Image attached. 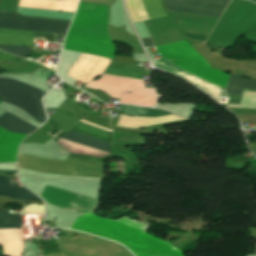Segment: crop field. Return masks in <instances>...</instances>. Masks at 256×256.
Here are the masks:
<instances>
[{
	"label": "crop field",
	"mask_w": 256,
	"mask_h": 256,
	"mask_svg": "<svg viewBox=\"0 0 256 256\" xmlns=\"http://www.w3.org/2000/svg\"><path fill=\"white\" fill-rule=\"evenodd\" d=\"M109 7L80 3L63 49L112 58L115 47L107 32ZM81 54L66 74L83 83L100 75L111 60Z\"/></svg>",
	"instance_id": "8a807250"
},
{
	"label": "crop field",
	"mask_w": 256,
	"mask_h": 256,
	"mask_svg": "<svg viewBox=\"0 0 256 256\" xmlns=\"http://www.w3.org/2000/svg\"><path fill=\"white\" fill-rule=\"evenodd\" d=\"M145 225L123 219H101L90 213L78 217L70 229L118 241L136 256H183L171 244L143 232Z\"/></svg>",
	"instance_id": "ac0d7876"
},
{
	"label": "crop field",
	"mask_w": 256,
	"mask_h": 256,
	"mask_svg": "<svg viewBox=\"0 0 256 256\" xmlns=\"http://www.w3.org/2000/svg\"><path fill=\"white\" fill-rule=\"evenodd\" d=\"M103 75L142 79L140 71L116 67H108ZM102 76L86 84L107 93L112 98H120V103L143 105L152 107L156 104L158 96L154 88H144L143 80ZM131 91L133 93H126Z\"/></svg>",
	"instance_id": "34b2d1b8"
},
{
	"label": "crop field",
	"mask_w": 256,
	"mask_h": 256,
	"mask_svg": "<svg viewBox=\"0 0 256 256\" xmlns=\"http://www.w3.org/2000/svg\"><path fill=\"white\" fill-rule=\"evenodd\" d=\"M71 21L21 16L0 12V28L65 34ZM0 29V44L32 46L33 35L54 37L55 34Z\"/></svg>",
	"instance_id": "412701ff"
},
{
	"label": "crop field",
	"mask_w": 256,
	"mask_h": 256,
	"mask_svg": "<svg viewBox=\"0 0 256 256\" xmlns=\"http://www.w3.org/2000/svg\"><path fill=\"white\" fill-rule=\"evenodd\" d=\"M157 49L168 61L225 88L229 74L211 68L208 62L186 40L158 46Z\"/></svg>",
	"instance_id": "f4fd0767"
},
{
	"label": "crop field",
	"mask_w": 256,
	"mask_h": 256,
	"mask_svg": "<svg viewBox=\"0 0 256 256\" xmlns=\"http://www.w3.org/2000/svg\"><path fill=\"white\" fill-rule=\"evenodd\" d=\"M46 92L25 83L0 78V98L3 102L20 107L41 124L46 120L41 98Z\"/></svg>",
	"instance_id": "dd49c442"
},
{
	"label": "crop field",
	"mask_w": 256,
	"mask_h": 256,
	"mask_svg": "<svg viewBox=\"0 0 256 256\" xmlns=\"http://www.w3.org/2000/svg\"><path fill=\"white\" fill-rule=\"evenodd\" d=\"M120 113H125L133 116H148V117H158L163 115H169V113L162 110H155L143 107H133L127 105H121V110H112ZM184 120L176 115H169L158 118H147V117H130L120 115V119L117 123V126L130 127V128H141L151 125H156L160 123Z\"/></svg>",
	"instance_id": "e52e79f7"
},
{
	"label": "crop field",
	"mask_w": 256,
	"mask_h": 256,
	"mask_svg": "<svg viewBox=\"0 0 256 256\" xmlns=\"http://www.w3.org/2000/svg\"><path fill=\"white\" fill-rule=\"evenodd\" d=\"M167 11L219 18L230 0H164Z\"/></svg>",
	"instance_id": "d8731c3e"
},
{
	"label": "crop field",
	"mask_w": 256,
	"mask_h": 256,
	"mask_svg": "<svg viewBox=\"0 0 256 256\" xmlns=\"http://www.w3.org/2000/svg\"><path fill=\"white\" fill-rule=\"evenodd\" d=\"M81 121H79L71 130H74V131H77V132H80V133H83V134H86V135H89V136H92V137H95V138H98V139H101V140L111 143V136H112L111 130L106 129L108 131H111V132H108L106 130H103L105 128L100 129L102 127L97 128L99 126L95 127L96 125L92 126L94 124L89 125L91 123L86 124L88 122L84 123L85 121L84 122H81ZM71 130L66 135H64L62 137V139H66L69 141H73L76 143L84 144L87 146H91L94 148H98L101 150L111 152V144L110 143H107V142L74 132Z\"/></svg>",
	"instance_id": "5a996713"
},
{
	"label": "crop field",
	"mask_w": 256,
	"mask_h": 256,
	"mask_svg": "<svg viewBox=\"0 0 256 256\" xmlns=\"http://www.w3.org/2000/svg\"><path fill=\"white\" fill-rule=\"evenodd\" d=\"M49 203L84 214L91 210L93 199L46 186L41 195Z\"/></svg>",
	"instance_id": "3316defc"
},
{
	"label": "crop field",
	"mask_w": 256,
	"mask_h": 256,
	"mask_svg": "<svg viewBox=\"0 0 256 256\" xmlns=\"http://www.w3.org/2000/svg\"><path fill=\"white\" fill-rule=\"evenodd\" d=\"M157 66L187 80L188 82L194 84L195 86L199 87L200 89L204 90L205 92L209 93L211 96H213L216 100L220 101V97L222 92H224V88L219 87L217 85L211 84L203 79H200L187 71L169 63L163 58H160ZM156 66V67H157ZM158 67V68H159Z\"/></svg>",
	"instance_id": "28ad6ade"
},
{
	"label": "crop field",
	"mask_w": 256,
	"mask_h": 256,
	"mask_svg": "<svg viewBox=\"0 0 256 256\" xmlns=\"http://www.w3.org/2000/svg\"><path fill=\"white\" fill-rule=\"evenodd\" d=\"M143 3L150 19L166 15L162 10L161 0H143ZM125 4L132 21L149 19L142 0H125Z\"/></svg>",
	"instance_id": "d1516ede"
},
{
	"label": "crop field",
	"mask_w": 256,
	"mask_h": 256,
	"mask_svg": "<svg viewBox=\"0 0 256 256\" xmlns=\"http://www.w3.org/2000/svg\"><path fill=\"white\" fill-rule=\"evenodd\" d=\"M19 153L38 156L42 158L65 160L70 153L55 143L52 139L44 145L41 144H22Z\"/></svg>",
	"instance_id": "22f410ed"
},
{
	"label": "crop field",
	"mask_w": 256,
	"mask_h": 256,
	"mask_svg": "<svg viewBox=\"0 0 256 256\" xmlns=\"http://www.w3.org/2000/svg\"><path fill=\"white\" fill-rule=\"evenodd\" d=\"M27 135L12 134L0 129V162H15L18 144Z\"/></svg>",
	"instance_id": "cbeb9de0"
},
{
	"label": "crop field",
	"mask_w": 256,
	"mask_h": 256,
	"mask_svg": "<svg viewBox=\"0 0 256 256\" xmlns=\"http://www.w3.org/2000/svg\"><path fill=\"white\" fill-rule=\"evenodd\" d=\"M0 244L4 248L3 256L22 255L24 239L21 229L0 230Z\"/></svg>",
	"instance_id": "5142ce71"
},
{
	"label": "crop field",
	"mask_w": 256,
	"mask_h": 256,
	"mask_svg": "<svg viewBox=\"0 0 256 256\" xmlns=\"http://www.w3.org/2000/svg\"><path fill=\"white\" fill-rule=\"evenodd\" d=\"M78 121L79 119L57 110L46 122L53 126L48 134L51 135L53 137L52 139L56 142Z\"/></svg>",
	"instance_id": "d9b57169"
},
{
	"label": "crop field",
	"mask_w": 256,
	"mask_h": 256,
	"mask_svg": "<svg viewBox=\"0 0 256 256\" xmlns=\"http://www.w3.org/2000/svg\"><path fill=\"white\" fill-rule=\"evenodd\" d=\"M0 195L22 200L39 199L24 189L21 184L18 185L13 177L0 176Z\"/></svg>",
	"instance_id": "733c2abd"
},
{
	"label": "crop field",
	"mask_w": 256,
	"mask_h": 256,
	"mask_svg": "<svg viewBox=\"0 0 256 256\" xmlns=\"http://www.w3.org/2000/svg\"><path fill=\"white\" fill-rule=\"evenodd\" d=\"M14 203H40L39 201H20L12 200L0 196V212H10L6 205ZM21 214L20 213H0V229L3 228H20Z\"/></svg>",
	"instance_id": "4a817a6b"
},
{
	"label": "crop field",
	"mask_w": 256,
	"mask_h": 256,
	"mask_svg": "<svg viewBox=\"0 0 256 256\" xmlns=\"http://www.w3.org/2000/svg\"><path fill=\"white\" fill-rule=\"evenodd\" d=\"M0 126L10 132L25 134H29L37 128L8 112L0 117Z\"/></svg>",
	"instance_id": "bc2a9ffb"
},
{
	"label": "crop field",
	"mask_w": 256,
	"mask_h": 256,
	"mask_svg": "<svg viewBox=\"0 0 256 256\" xmlns=\"http://www.w3.org/2000/svg\"><path fill=\"white\" fill-rule=\"evenodd\" d=\"M243 88L256 91V81L231 74L224 93L241 96Z\"/></svg>",
	"instance_id": "214f88e0"
},
{
	"label": "crop field",
	"mask_w": 256,
	"mask_h": 256,
	"mask_svg": "<svg viewBox=\"0 0 256 256\" xmlns=\"http://www.w3.org/2000/svg\"><path fill=\"white\" fill-rule=\"evenodd\" d=\"M0 48L4 49L14 55L21 56L24 58H26V56L28 55V53L31 50V48H28V47L9 46V45H0Z\"/></svg>",
	"instance_id": "92a150f3"
},
{
	"label": "crop field",
	"mask_w": 256,
	"mask_h": 256,
	"mask_svg": "<svg viewBox=\"0 0 256 256\" xmlns=\"http://www.w3.org/2000/svg\"><path fill=\"white\" fill-rule=\"evenodd\" d=\"M240 107L256 108V94L244 93Z\"/></svg>",
	"instance_id": "dafd665d"
},
{
	"label": "crop field",
	"mask_w": 256,
	"mask_h": 256,
	"mask_svg": "<svg viewBox=\"0 0 256 256\" xmlns=\"http://www.w3.org/2000/svg\"><path fill=\"white\" fill-rule=\"evenodd\" d=\"M45 205L29 204L22 208V214L41 213L44 214Z\"/></svg>",
	"instance_id": "00972430"
},
{
	"label": "crop field",
	"mask_w": 256,
	"mask_h": 256,
	"mask_svg": "<svg viewBox=\"0 0 256 256\" xmlns=\"http://www.w3.org/2000/svg\"><path fill=\"white\" fill-rule=\"evenodd\" d=\"M112 62H120V63L130 64V65H136L134 60L131 57H127V56H115Z\"/></svg>",
	"instance_id": "a9b5d70f"
},
{
	"label": "crop field",
	"mask_w": 256,
	"mask_h": 256,
	"mask_svg": "<svg viewBox=\"0 0 256 256\" xmlns=\"http://www.w3.org/2000/svg\"><path fill=\"white\" fill-rule=\"evenodd\" d=\"M16 59H19V58L9 55V54H6L4 52H0V60L1 61H14Z\"/></svg>",
	"instance_id": "4177f3b9"
},
{
	"label": "crop field",
	"mask_w": 256,
	"mask_h": 256,
	"mask_svg": "<svg viewBox=\"0 0 256 256\" xmlns=\"http://www.w3.org/2000/svg\"><path fill=\"white\" fill-rule=\"evenodd\" d=\"M141 41H142V43H143L144 47L154 45V44H153V42H152V40H151V38L143 39V40H141Z\"/></svg>",
	"instance_id": "730fd06b"
},
{
	"label": "crop field",
	"mask_w": 256,
	"mask_h": 256,
	"mask_svg": "<svg viewBox=\"0 0 256 256\" xmlns=\"http://www.w3.org/2000/svg\"><path fill=\"white\" fill-rule=\"evenodd\" d=\"M0 173H17L16 171H0Z\"/></svg>",
	"instance_id": "eef30255"
}]
</instances>
